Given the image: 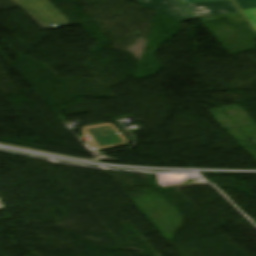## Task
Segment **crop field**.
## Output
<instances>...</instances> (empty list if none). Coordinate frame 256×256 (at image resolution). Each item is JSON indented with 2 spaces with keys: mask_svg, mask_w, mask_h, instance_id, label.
Masks as SVG:
<instances>
[{
  "mask_svg": "<svg viewBox=\"0 0 256 256\" xmlns=\"http://www.w3.org/2000/svg\"><path fill=\"white\" fill-rule=\"evenodd\" d=\"M210 1H221V0H210Z\"/></svg>",
  "mask_w": 256,
  "mask_h": 256,
  "instance_id": "7",
  "label": "crop field"
},
{
  "mask_svg": "<svg viewBox=\"0 0 256 256\" xmlns=\"http://www.w3.org/2000/svg\"><path fill=\"white\" fill-rule=\"evenodd\" d=\"M44 29L66 26L69 21L47 0H13ZM41 27V28H42ZM42 28V29H43ZM43 29V30H44Z\"/></svg>",
  "mask_w": 256,
  "mask_h": 256,
  "instance_id": "1",
  "label": "crop field"
},
{
  "mask_svg": "<svg viewBox=\"0 0 256 256\" xmlns=\"http://www.w3.org/2000/svg\"><path fill=\"white\" fill-rule=\"evenodd\" d=\"M184 5L202 22L216 18H228L234 24L247 22L232 1L190 3Z\"/></svg>",
  "mask_w": 256,
  "mask_h": 256,
  "instance_id": "2",
  "label": "crop field"
},
{
  "mask_svg": "<svg viewBox=\"0 0 256 256\" xmlns=\"http://www.w3.org/2000/svg\"><path fill=\"white\" fill-rule=\"evenodd\" d=\"M256 29V8L242 10Z\"/></svg>",
  "mask_w": 256,
  "mask_h": 256,
  "instance_id": "5",
  "label": "crop field"
},
{
  "mask_svg": "<svg viewBox=\"0 0 256 256\" xmlns=\"http://www.w3.org/2000/svg\"><path fill=\"white\" fill-rule=\"evenodd\" d=\"M140 5L155 10L179 22L194 19L190 11L178 0H136Z\"/></svg>",
  "mask_w": 256,
  "mask_h": 256,
  "instance_id": "3",
  "label": "crop field"
},
{
  "mask_svg": "<svg viewBox=\"0 0 256 256\" xmlns=\"http://www.w3.org/2000/svg\"><path fill=\"white\" fill-rule=\"evenodd\" d=\"M241 9L256 7V0H235Z\"/></svg>",
  "mask_w": 256,
  "mask_h": 256,
  "instance_id": "4",
  "label": "crop field"
},
{
  "mask_svg": "<svg viewBox=\"0 0 256 256\" xmlns=\"http://www.w3.org/2000/svg\"><path fill=\"white\" fill-rule=\"evenodd\" d=\"M75 1H77V0H75Z\"/></svg>",
  "mask_w": 256,
  "mask_h": 256,
  "instance_id": "8",
  "label": "crop field"
},
{
  "mask_svg": "<svg viewBox=\"0 0 256 256\" xmlns=\"http://www.w3.org/2000/svg\"><path fill=\"white\" fill-rule=\"evenodd\" d=\"M183 3H190V2H204L209 0H181Z\"/></svg>",
  "mask_w": 256,
  "mask_h": 256,
  "instance_id": "6",
  "label": "crop field"
}]
</instances>
